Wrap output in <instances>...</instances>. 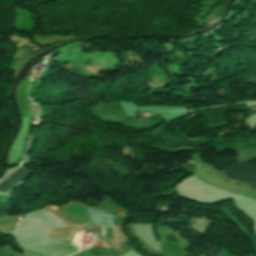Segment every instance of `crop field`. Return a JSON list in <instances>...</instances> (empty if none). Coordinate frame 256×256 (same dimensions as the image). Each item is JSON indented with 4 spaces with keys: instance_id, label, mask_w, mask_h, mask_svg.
Masks as SVG:
<instances>
[{
    "instance_id": "2",
    "label": "crop field",
    "mask_w": 256,
    "mask_h": 256,
    "mask_svg": "<svg viewBox=\"0 0 256 256\" xmlns=\"http://www.w3.org/2000/svg\"><path fill=\"white\" fill-rule=\"evenodd\" d=\"M233 107H246V105L245 103L226 105V106H220V107L209 108V109L192 110V112L193 114L204 113L205 116L208 118L210 125H214V124L226 123L220 111L233 108Z\"/></svg>"
},
{
    "instance_id": "4",
    "label": "crop field",
    "mask_w": 256,
    "mask_h": 256,
    "mask_svg": "<svg viewBox=\"0 0 256 256\" xmlns=\"http://www.w3.org/2000/svg\"><path fill=\"white\" fill-rule=\"evenodd\" d=\"M31 172L29 171H21L17 170L13 173L9 178H7L4 182L0 184V191L5 193L17 183H19L22 179H24L28 174Z\"/></svg>"
},
{
    "instance_id": "5",
    "label": "crop field",
    "mask_w": 256,
    "mask_h": 256,
    "mask_svg": "<svg viewBox=\"0 0 256 256\" xmlns=\"http://www.w3.org/2000/svg\"><path fill=\"white\" fill-rule=\"evenodd\" d=\"M220 250L221 248L210 243L204 253V256H217Z\"/></svg>"
},
{
    "instance_id": "7",
    "label": "crop field",
    "mask_w": 256,
    "mask_h": 256,
    "mask_svg": "<svg viewBox=\"0 0 256 256\" xmlns=\"http://www.w3.org/2000/svg\"><path fill=\"white\" fill-rule=\"evenodd\" d=\"M251 99H256V89L250 92L248 100H251Z\"/></svg>"
},
{
    "instance_id": "1",
    "label": "crop field",
    "mask_w": 256,
    "mask_h": 256,
    "mask_svg": "<svg viewBox=\"0 0 256 256\" xmlns=\"http://www.w3.org/2000/svg\"><path fill=\"white\" fill-rule=\"evenodd\" d=\"M225 176L251 183V184H256V168L237 162L230 168L225 169Z\"/></svg>"
},
{
    "instance_id": "9",
    "label": "crop field",
    "mask_w": 256,
    "mask_h": 256,
    "mask_svg": "<svg viewBox=\"0 0 256 256\" xmlns=\"http://www.w3.org/2000/svg\"><path fill=\"white\" fill-rule=\"evenodd\" d=\"M181 256H192V255L189 254V253H187V252H185V253H183Z\"/></svg>"
},
{
    "instance_id": "6",
    "label": "crop field",
    "mask_w": 256,
    "mask_h": 256,
    "mask_svg": "<svg viewBox=\"0 0 256 256\" xmlns=\"http://www.w3.org/2000/svg\"><path fill=\"white\" fill-rule=\"evenodd\" d=\"M219 256H234V255L230 253L225 247H223Z\"/></svg>"
},
{
    "instance_id": "8",
    "label": "crop field",
    "mask_w": 256,
    "mask_h": 256,
    "mask_svg": "<svg viewBox=\"0 0 256 256\" xmlns=\"http://www.w3.org/2000/svg\"><path fill=\"white\" fill-rule=\"evenodd\" d=\"M246 164L256 166V157L246 162Z\"/></svg>"
},
{
    "instance_id": "3",
    "label": "crop field",
    "mask_w": 256,
    "mask_h": 256,
    "mask_svg": "<svg viewBox=\"0 0 256 256\" xmlns=\"http://www.w3.org/2000/svg\"><path fill=\"white\" fill-rule=\"evenodd\" d=\"M88 213L93 224L113 226L114 216L101 212L93 207H89Z\"/></svg>"
}]
</instances>
